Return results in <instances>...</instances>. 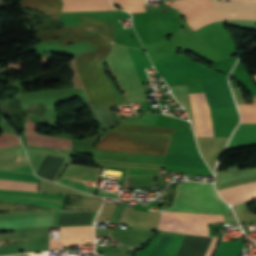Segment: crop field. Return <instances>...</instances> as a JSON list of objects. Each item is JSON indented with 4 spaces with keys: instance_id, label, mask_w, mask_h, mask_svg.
<instances>
[{
    "instance_id": "obj_2",
    "label": "crop field",
    "mask_w": 256,
    "mask_h": 256,
    "mask_svg": "<svg viewBox=\"0 0 256 256\" xmlns=\"http://www.w3.org/2000/svg\"><path fill=\"white\" fill-rule=\"evenodd\" d=\"M173 129L120 124L107 131L95 148L125 153H154L164 155Z\"/></svg>"
},
{
    "instance_id": "obj_15",
    "label": "crop field",
    "mask_w": 256,
    "mask_h": 256,
    "mask_svg": "<svg viewBox=\"0 0 256 256\" xmlns=\"http://www.w3.org/2000/svg\"><path fill=\"white\" fill-rule=\"evenodd\" d=\"M130 13L145 12V0H111Z\"/></svg>"
},
{
    "instance_id": "obj_4",
    "label": "crop field",
    "mask_w": 256,
    "mask_h": 256,
    "mask_svg": "<svg viewBox=\"0 0 256 256\" xmlns=\"http://www.w3.org/2000/svg\"><path fill=\"white\" fill-rule=\"evenodd\" d=\"M226 206L212 184L182 182L177 184L172 206L164 210L229 215Z\"/></svg>"
},
{
    "instance_id": "obj_3",
    "label": "crop field",
    "mask_w": 256,
    "mask_h": 256,
    "mask_svg": "<svg viewBox=\"0 0 256 256\" xmlns=\"http://www.w3.org/2000/svg\"><path fill=\"white\" fill-rule=\"evenodd\" d=\"M107 62L124 90L127 102L147 100L141 83L149 82L144 68L152 65L146 53L114 45Z\"/></svg>"
},
{
    "instance_id": "obj_7",
    "label": "crop field",
    "mask_w": 256,
    "mask_h": 256,
    "mask_svg": "<svg viewBox=\"0 0 256 256\" xmlns=\"http://www.w3.org/2000/svg\"><path fill=\"white\" fill-rule=\"evenodd\" d=\"M195 122V136H214L213 124L203 93L189 94Z\"/></svg>"
},
{
    "instance_id": "obj_25",
    "label": "crop field",
    "mask_w": 256,
    "mask_h": 256,
    "mask_svg": "<svg viewBox=\"0 0 256 256\" xmlns=\"http://www.w3.org/2000/svg\"><path fill=\"white\" fill-rule=\"evenodd\" d=\"M254 76V79H255V82H256V75H253Z\"/></svg>"
},
{
    "instance_id": "obj_6",
    "label": "crop field",
    "mask_w": 256,
    "mask_h": 256,
    "mask_svg": "<svg viewBox=\"0 0 256 256\" xmlns=\"http://www.w3.org/2000/svg\"><path fill=\"white\" fill-rule=\"evenodd\" d=\"M216 21L230 19L256 20V2H225L211 0Z\"/></svg>"
},
{
    "instance_id": "obj_10",
    "label": "crop field",
    "mask_w": 256,
    "mask_h": 256,
    "mask_svg": "<svg viewBox=\"0 0 256 256\" xmlns=\"http://www.w3.org/2000/svg\"><path fill=\"white\" fill-rule=\"evenodd\" d=\"M185 234L162 233L149 256H176ZM220 239L216 238L208 256H212Z\"/></svg>"
},
{
    "instance_id": "obj_22",
    "label": "crop field",
    "mask_w": 256,
    "mask_h": 256,
    "mask_svg": "<svg viewBox=\"0 0 256 256\" xmlns=\"http://www.w3.org/2000/svg\"><path fill=\"white\" fill-rule=\"evenodd\" d=\"M168 187H170V188H173L172 189V191H171V189H169V188H166L165 189V191H164V193H167V194H169V192H170V194L168 195V197H167V194H164V193H162V196H165V197H167V198H165V197H162V196H160V198H162V199H164V200H167V201H173V199H174V195H175V187H176V182L175 183H172V184H170ZM172 203H170V202H164V204L163 205H165V206H170Z\"/></svg>"
},
{
    "instance_id": "obj_20",
    "label": "crop field",
    "mask_w": 256,
    "mask_h": 256,
    "mask_svg": "<svg viewBox=\"0 0 256 256\" xmlns=\"http://www.w3.org/2000/svg\"><path fill=\"white\" fill-rule=\"evenodd\" d=\"M0 200L17 202V203H25V204H33V205H41V206L58 207V208L63 207V205H61V204H54V203H47V202H40V201H33V200H25V199H18V198L4 197V196H0Z\"/></svg>"
},
{
    "instance_id": "obj_5",
    "label": "crop field",
    "mask_w": 256,
    "mask_h": 256,
    "mask_svg": "<svg viewBox=\"0 0 256 256\" xmlns=\"http://www.w3.org/2000/svg\"><path fill=\"white\" fill-rule=\"evenodd\" d=\"M224 222L222 216L162 211L160 230L208 236L206 223Z\"/></svg>"
},
{
    "instance_id": "obj_21",
    "label": "crop field",
    "mask_w": 256,
    "mask_h": 256,
    "mask_svg": "<svg viewBox=\"0 0 256 256\" xmlns=\"http://www.w3.org/2000/svg\"><path fill=\"white\" fill-rule=\"evenodd\" d=\"M21 145L17 135L3 133L0 135V148Z\"/></svg>"
},
{
    "instance_id": "obj_17",
    "label": "crop field",
    "mask_w": 256,
    "mask_h": 256,
    "mask_svg": "<svg viewBox=\"0 0 256 256\" xmlns=\"http://www.w3.org/2000/svg\"><path fill=\"white\" fill-rule=\"evenodd\" d=\"M241 122H256V104L238 106Z\"/></svg>"
},
{
    "instance_id": "obj_23",
    "label": "crop field",
    "mask_w": 256,
    "mask_h": 256,
    "mask_svg": "<svg viewBox=\"0 0 256 256\" xmlns=\"http://www.w3.org/2000/svg\"><path fill=\"white\" fill-rule=\"evenodd\" d=\"M157 180H159V181H161V182H164V179L162 178V176H160ZM155 181L154 182V185L153 186H155V187H159L160 186V184H161V182H159V181ZM167 184H169V182H164V183H162V185H164V186H166ZM158 189V188H157ZM156 189V190H157ZM163 189V187H159V189L158 190H162Z\"/></svg>"
},
{
    "instance_id": "obj_9",
    "label": "crop field",
    "mask_w": 256,
    "mask_h": 256,
    "mask_svg": "<svg viewBox=\"0 0 256 256\" xmlns=\"http://www.w3.org/2000/svg\"><path fill=\"white\" fill-rule=\"evenodd\" d=\"M26 145L70 150L72 141L36 134V125L25 117Z\"/></svg>"
},
{
    "instance_id": "obj_11",
    "label": "crop field",
    "mask_w": 256,
    "mask_h": 256,
    "mask_svg": "<svg viewBox=\"0 0 256 256\" xmlns=\"http://www.w3.org/2000/svg\"><path fill=\"white\" fill-rule=\"evenodd\" d=\"M218 193L230 206L254 200L256 199V182L219 190Z\"/></svg>"
},
{
    "instance_id": "obj_1",
    "label": "crop field",
    "mask_w": 256,
    "mask_h": 256,
    "mask_svg": "<svg viewBox=\"0 0 256 256\" xmlns=\"http://www.w3.org/2000/svg\"><path fill=\"white\" fill-rule=\"evenodd\" d=\"M36 34L40 41L58 38L60 45L89 39L97 51L80 54L74 58L84 91L93 105L117 106L99 62L109 52V46L102 36L86 29L71 27Z\"/></svg>"
},
{
    "instance_id": "obj_12",
    "label": "crop field",
    "mask_w": 256,
    "mask_h": 256,
    "mask_svg": "<svg viewBox=\"0 0 256 256\" xmlns=\"http://www.w3.org/2000/svg\"><path fill=\"white\" fill-rule=\"evenodd\" d=\"M21 5L30 7L49 15L59 17L62 2L60 0H22Z\"/></svg>"
},
{
    "instance_id": "obj_19",
    "label": "crop field",
    "mask_w": 256,
    "mask_h": 256,
    "mask_svg": "<svg viewBox=\"0 0 256 256\" xmlns=\"http://www.w3.org/2000/svg\"><path fill=\"white\" fill-rule=\"evenodd\" d=\"M40 209L37 206L33 205H25V204H17V203H9L0 201V211H10L14 212L16 210L19 211H27V210H35Z\"/></svg>"
},
{
    "instance_id": "obj_18",
    "label": "crop field",
    "mask_w": 256,
    "mask_h": 256,
    "mask_svg": "<svg viewBox=\"0 0 256 256\" xmlns=\"http://www.w3.org/2000/svg\"><path fill=\"white\" fill-rule=\"evenodd\" d=\"M25 166H30L26 159V156L0 160L1 169H12Z\"/></svg>"
},
{
    "instance_id": "obj_14",
    "label": "crop field",
    "mask_w": 256,
    "mask_h": 256,
    "mask_svg": "<svg viewBox=\"0 0 256 256\" xmlns=\"http://www.w3.org/2000/svg\"><path fill=\"white\" fill-rule=\"evenodd\" d=\"M68 198L103 200V198H81V197H73V196H69ZM76 199H67L63 209L97 211L102 202V201H94V200H76Z\"/></svg>"
},
{
    "instance_id": "obj_24",
    "label": "crop field",
    "mask_w": 256,
    "mask_h": 256,
    "mask_svg": "<svg viewBox=\"0 0 256 256\" xmlns=\"http://www.w3.org/2000/svg\"><path fill=\"white\" fill-rule=\"evenodd\" d=\"M15 256H30L29 254H24V255H15Z\"/></svg>"
},
{
    "instance_id": "obj_8",
    "label": "crop field",
    "mask_w": 256,
    "mask_h": 256,
    "mask_svg": "<svg viewBox=\"0 0 256 256\" xmlns=\"http://www.w3.org/2000/svg\"><path fill=\"white\" fill-rule=\"evenodd\" d=\"M93 161L98 166L127 169L126 176H156L163 164L120 161L93 157Z\"/></svg>"
},
{
    "instance_id": "obj_13",
    "label": "crop field",
    "mask_w": 256,
    "mask_h": 256,
    "mask_svg": "<svg viewBox=\"0 0 256 256\" xmlns=\"http://www.w3.org/2000/svg\"><path fill=\"white\" fill-rule=\"evenodd\" d=\"M80 26L101 33L109 40L115 42L114 39V24L81 16Z\"/></svg>"
},
{
    "instance_id": "obj_16",
    "label": "crop field",
    "mask_w": 256,
    "mask_h": 256,
    "mask_svg": "<svg viewBox=\"0 0 256 256\" xmlns=\"http://www.w3.org/2000/svg\"><path fill=\"white\" fill-rule=\"evenodd\" d=\"M38 184L0 180V188L37 191Z\"/></svg>"
}]
</instances>
